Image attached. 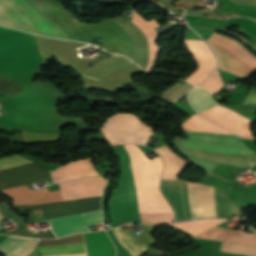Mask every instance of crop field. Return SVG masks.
<instances>
[{
	"mask_svg": "<svg viewBox=\"0 0 256 256\" xmlns=\"http://www.w3.org/2000/svg\"><path fill=\"white\" fill-rule=\"evenodd\" d=\"M185 44L191 51L198 68L185 80L193 85L200 83L215 67V60L210 49L204 41L184 39Z\"/></svg>",
	"mask_w": 256,
	"mask_h": 256,
	"instance_id": "obj_10",
	"label": "crop field"
},
{
	"mask_svg": "<svg viewBox=\"0 0 256 256\" xmlns=\"http://www.w3.org/2000/svg\"><path fill=\"white\" fill-rule=\"evenodd\" d=\"M220 251L256 256V247L223 242Z\"/></svg>",
	"mask_w": 256,
	"mask_h": 256,
	"instance_id": "obj_21",
	"label": "crop field"
},
{
	"mask_svg": "<svg viewBox=\"0 0 256 256\" xmlns=\"http://www.w3.org/2000/svg\"><path fill=\"white\" fill-rule=\"evenodd\" d=\"M60 131L27 132V144L57 142Z\"/></svg>",
	"mask_w": 256,
	"mask_h": 256,
	"instance_id": "obj_19",
	"label": "crop field"
},
{
	"mask_svg": "<svg viewBox=\"0 0 256 256\" xmlns=\"http://www.w3.org/2000/svg\"><path fill=\"white\" fill-rule=\"evenodd\" d=\"M37 239L10 236L0 244V253L6 256H23Z\"/></svg>",
	"mask_w": 256,
	"mask_h": 256,
	"instance_id": "obj_15",
	"label": "crop field"
},
{
	"mask_svg": "<svg viewBox=\"0 0 256 256\" xmlns=\"http://www.w3.org/2000/svg\"><path fill=\"white\" fill-rule=\"evenodd\" d=\"M142 222L163 224L173 221L172 213L140 214Z\"/></svg>",
	"mask_w": 256,
	"mask_h": 256,
	"instance_id": "obj_23",
	"label": "crop field"
},
{
	"mask_svg": "<svg viewBox=\"0 0 256 256\" xmlns=\"http://www.w3.org/2000/svg\"><path fill=\"white\" fill-rule=\"evenodd\" d=\"M169 152L173 156L175 162H176V178L179 177V175L182 173V171L187 166V162L182 160L180 157H178L175 153H173L169 147L166 145ZM165 145L158 147L154 149L160 156L163 157L164 161V173L162 179H173L175 178V163L173 158L171 157L170 153L166 149Z\"/></svg>",
	"mask_w": 256,
	"mask_h": 256,
	"instance_id": "obj_13",
	"label": "crop field"
},
{
	"mask_svg": "<svg viewBox=\"0 0 256 256\" xmlns=\"http://www.w3.org/2000/svg\"><path fill=\"white\" fill-rule=\"evenodd\" d=\"M146 229L137 237L121 226L112 229L119 243L132 255L144 256V254L157 242L149 234L157 226L143 225Z\"/></svg>",
	"mask_w": 256,
	"mask_h": 256,
	"instance_id": "obj_9",
	"label": "crop field"
},
{
	"mask_svg": "<svg viewBox=\"0 0 256 256\" xmlns=\"http://www.w3.org/2000/svg\"><path fill=\"white\" fill-rule=\"evenodd\" d=\"M99 175L92 167L90 158L71 162L52 173L53 182Z\"/></svg>",
	"mask_w": 256,
	"mask_h": 256,
	"instance_id": "obj_11",
	"label": "crop field"
},
{
	"mask_svg": "<svg viewBox=\"0 0 256 256\" xmlns=\"http://www.w3.org/2000/svg\"><path fill=\"white\" fill-rule=\"evenodd\" d=\"M0 24L63 39L55 25L25 0H0Z\"/></svg>",
	"mask_w": 256,
	"mask_h": 256,
	"instance_id": "obj_5",
	"label": "crop field"
},
{
	"mask_svg": "<svg viewBox=\"0 0 256 256\" xmlns=\"http://www.w3.org/2000/svg\"><path fill=\"white\" fill-rule=\"evenodd\" d=\"M108 142L119 145L138 143L145 145L153 129L132 113H115L100 127Z\"/></svg>",
	"mask_w": 256,
	"mask_h": 256,
	"instance_id": "obj_7",
	"label": "crop field"
},
{
	"mask_svg": "<svg viewBox=\"0 0 256 256\" xmlns=\"http://www.w3.org/2000/svg\"><path fill=\"white\" fill-rule=\"evenodd\" d=\"M78 244H84L82 234H75V235L67 236L64 238L57 239V240H39L34 248L65 246V245H78ZM86 255L87 254L68 255V256H86Z\"/></svg>",
	"mask_w": 256,
	"mask_h": 256,
	"instance_id": "obj_18",
	"label": "crop field"
},
{
	"mask_svg": "<svg viewBox=\"0 0 256 256\" xmlns=\"http://www.w3.org/2000/svg\"><path fill=\"white\" fill-rule=\"evenodd\" d=\"M193 88L190 84H172L169 88L165 89L162 99L176 102V100L188 92L189 89Z\"/></svg>",
	"mask_w": 256,
	"mask_h": 256,
	"instance_id": "obj_20",
	"label": "crop field"
},
{
	"mask_svg": "<svg viewBox=\"0 0 256 256\" xmlns=\"http://www.w3.org/2000/svg\"><path fill=\"white\" fill-rule=\"evenodd\" d=\"M188 139L181 143L206 150L229 153H254L247 148L241 138L213 124L199 114H194L181 125ZM184 145L198 159L224 164L251 167L256 165V154H228L206 151Z\"/></svg>",
	"mask_w": 256,
	"mask_h": 256,
	"instance_id": "obj_2",
	"label": "crop field"
},
{
	"mask_svg": "<svg viewBox=\"0 0 256 256\" xmlns=\"http://www.w3.org/2000/svg\"><path fill=\"white\" fill-rule=\"evenodd\" d=\"M22 89L23 88L11 82L10 79L0 75V93L12 97Z\"/></svg>",
	"mask_w": 256,
	"mask_h": 256,
	"instance_id": "obj_24",
	"label": "crop field"
},
{
	"mask_svg": "<svg viewBox=\"0 0 256 256\" xmlns=\"http://www.w3.org/2000/svg\"><path fill=\"white\" fill-rule=\"evenodd\" d=\"M242 104H256V88L252 87Z\"/></svg>",
	"mask_w": 256,
	"mask_h": 256,
	"instance_id": "obj_25",
	"label": "crop field"
},
{
	"mask_svg": "<svg viewBox=\"0 0 256 256\" xmlns=\"http://www.w3.org/2000/svg\"><path fill=\"white\" fill-rule=\"evenodd\" d=\"M188 97L191 105L198 112L217 104L208 91L198 86L189 92Z\"/></svg>",
	"mask_w": 256,
	"mask_h": 256,
	"instance_id": "obj_16",
	"label": "crop field"
},
{
	"mask_svg": "<svg viewBox=\"0 0 256 256\" xmlns=\"http://www.w3.org/2000/svg\"><path fill=\"white\" fill-rule=\"evenodd\" d=\"M112 148L120 160L121 167L117 190L112 192L109 201L112 227L125 222H141L130 159L124 146Z\"/></svg>",
	"mask_w": 256,
	"mask_h": 256,
	"instance_id": "obj_4",
	"label": "crop field"
},
{
	"mask_svg": "<svg viewBox=\"0 0 256 256\" xmlns=\"http://www.w3.org/2000/svg\"><path fill=\"white\" fill-rule=\"evenodd\" d=\"M4 218L1 214H0V219Z\"/></svg>",
	"mask_w": 256,
	"mask_h": 256,
	"instance_id": "obj_26",
	"label": "crop field"
},
{
	"mask_svg": "<svg viewBox=\"0 0 256 256\" xmlns=\"http://www.w3.org/2000/svg\"><path fill=\"white\" fill-rule=\"evenodd\" d=\"M132 18L145 30L147 37L150 41V44L152 46L149 59L146 65L145 70L147 71H152L153 65L155 63L159 47L156 46L157 44V39H158V33L153 29L157 27V23L155 20L153 21H145L135 10L132 12Z\"/></svg>",
	"mask_w": 256,
	"mask_h": 256,
	"instance_id": "obj_14",
	"label": "crop field"
},
{
	"mask_svg": "<svg viewBox=\"0 0 256 256\" xmlns=\"http://www.w3.org/2000/svg\"><path fill=\"white\" fill-rule=\"evenodd\" d=\"M31 163V161L16 155L0 159V169ZM49 171L38 164L31 163L10 169L0 170V189H8L24 185L45 177H49Z\"/></svg>",
	"mask_w": 256,
	"mask_h": 256,
	"instance_id": "obj_8",
	"label": "crop field"
},
{
	"mask_svg": "<svg viewBox=\"0 0 256 256\" xmlns=\"http://www.w3.org/2000/svg\"><path fill=\"white\" fill-rule=\"evenodd\" d=\"M131 64H133V63H131L124 57H122L118 54H114V55L80 71V73H82L87 78L98 81L105 75H107L115 70L127 67Z\"/></svg>",
	"mask_w": 256,
	"mask_h": 256,
	"instance_id": "obj_12",
	"label": "crop field"
},
{
	"mask_svg": "<svg viewBox=\"0 0 256 256\" xmlns=\"http://www.w3.org/2000/svg\"><path fill=\"white\" fill-rule=\"evenodd\" d=\"M188 185L194 219L217 217L212 186L190 182ZM188 185L179 179L161 183V191L174 210L176 222L193 219Z\"/></svg>",
	"mask_w": 256,
	"mask_h": 256,
	"instance_id": "obj_3",
	"label": "crop field"
},
{
	"mask_svg": "<svg viewBox=\"0 0 256 256\" xmlns=\"http://www.w3.org/2000/svg\"><path fill=\"white\" fill-rule=\"evenodd\" d=\"M255 233H256V230L255 229H253V228H251Z\"/></svg>",
	"mask_w": 256,
	"mask_h": 256,
	"instance_id": "obj_27",
	"label": "crop field"
},
{
	"mask_svg": "<svg viewBox=\"0 0 256 256\" xmlns=\"http://www.w3.org/2000/svg\"><path fill=\"white\" fill-rule=\"evenodd\" d=\"M226 220L221 219H204V220H198V221H192V222H186V223H180V224H172L171 226L180 228L182 230H185L187 232H190L193 236L208 230Z\"/></svg>",
	"mask_w": 256,
	"mask_h": 256,
	"instance_id": "obj_17",
	"label": "crop field"
},
{
	"mask_svg": "<svg viewBox=\"0 0 256 256\" xmlns=\"http://www.w3.org/2000/svg\"><path fill=\"white\" fill-rule=\"evenodd\" d=\"M222 84H223V82L220 78V75L217 72V70L215 69L211 73V75L199 86L210 91L211 95L213 96V94L221 88Z\"/></svg>",
	"mask_w": 256,
	"mask_h": 256,
	"instance_id": "obj_22",
	"label": "crop field"
},
{
	"mask_svg": "<svg viewBox=\"0 0 256 256\" xmlns=\"http://www.w3.org/2000/svg\"><path fill=\"white\" fill-rule=\"evenodd\" d=\"M206 42L217 59V68L245 79L256 71V57L235 39L214 33Z\"/></svg>",
	"mask_w": 256,
	"mask_h": 256,
	"instance_id": "obj_6",
	"label": "crop field"
},
{
	"mask_svg": "<svg viewBox=\"0 0 256 256\" xmlns=\"http://www.w3.org/2000/svg\"><path fill=\"white\" fill-rule=\"evenodd\" d=\"M106 180L102 177L82 179L59 184L63 201L98 196L102 194ZM24 210L42 209L46 219L100 209V196L67 202L23 206ZM36 217L43 216L41 210H33ZM57 236L90 231L87 226L101 223L100 210L48 220Z\"/></svg>",
	"mask_w": 256,
	"mask_h": 256,
	"instance_id": "obj_1",
	"label": "crop field"
}]
</instances>
